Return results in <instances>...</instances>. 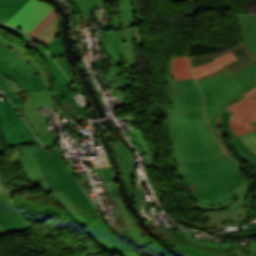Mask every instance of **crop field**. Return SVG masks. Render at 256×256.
Instances as JSON below:
<instances>
[{
  "instance_id": "crop-field-3",
  "label": "crop field",
  "mask_w": 256,
  "mask_h": 256,
  "mask_svg": "<svg viewBox=\"0 0 256 256\" xmlns=\"http://www.w3.org/2000/svg\"><path fill=\"white\" fill-rule=\"evenodd\" d=\"M198 84L204 94L206 118L215 138L235 161L244 167L226 146L218 120L231 104L244 97L246 92L256 85V60L231 74L224 70Z\"/></svg>"
},
{
  "instance_id": "crop-field-52",
  "label": "crop field",
  "mask_w": 256,
  "mask_h": 256,
  "mask_svg": "<svg viewBox=\"0 0 256 256\" xmlns=\"http://www.w3.org/2000/svg\"><path fill=\"white\" fill-rule=\"evenodd\" d=\"M254 126L256 127V122H253Z\"/></svg>"
},
{
  "instance_id": "crop-field-8",
  "label": "crop field",
  "mask_w": 256,
  "mask_h": 256,
  "mask_svg": "<svg viewBox=\"0 0 256 256\" xmlns=\"http://www.w3.org/2000/svg\"><path fill=\"white\" fill-rule=\"evenodd\" d=\"M111 191L114 197V203L117 207L118 213L122 220V223L128 233L129 242L132 243L135 247L140 245L150 243L161 255L163 256H172L170 255L163 247L152 241L144 234L141 229L138 227L136 222L130 216L125 204L124 200L119 192L117 182L110 185ZM131 244V245H132Z\"/></svg>"
},
{
  "instance_id": "crop-field-17",
  "label": "crop field",
  "mask_w": 256,
  "mask_h": 256,
  "mask_svg": "<svg viewBox=\"0 0 256 256\" xmlns=\"http://www.w3.org/2000/svg\"><path fill=\"white\" fill-rule=\"evenodd\" d=\"M0 208V227L7 233L30 229L24 216L20 212H13L2 199Z\"/></svg>"
},
{
  "instance_id": "crop-field-44",
  "label": "crop field",
  "mask_w": 256,
  "mask_h": 256,
  "mask_svg": "<svg viewBox=\"0 0 256 256\" xmlns=\"http://www.w3.org/2000/svg\"><path fill=\"white\" fill-rule=\"evenodd\" d=\"M111 19H112L111 25L113 26L115 31L123 28L120 16L111 17Z\"/></svg>"
},
{
  "instance_id": "crop-field-22",
  "label": "crop field",
  "mask_w": 256,
  "mask_h": 256,
  "mask_svg": "<svg viewBox=\"0 0 256 256\" xmlns=\"http://www.w3.org/2000/svg\"><path fill=\"white\" fill-rule=\"evenodd\" d=\"M45 48L52 55V57L55 59L58 65L65 72V74L68 76V78L70 79V81L72 82L76 90L78 91V93L81 94L82 92L78 85V82L68 70L67 61L65 59L62 47L60 45V36L52 40L48 45L45 46Z\"/></svg>"
},
{
  "instance_id": "crop-field-13",
  "label": "crop field",
  "mask_w": 256,
  "mask_h": 256,
  "mask_svg": "<svg viewBox=\"0 0 256 256\" xmlns=\"http://www.w3.org/2000/svg\"><path fill=\"white\" fill-rule=\"evenodd\" d=\"M231 51L235 57L238 59L234 62H231L225 66H223L224 68L218 70V71H215L211 74H208L204 77H201L199 79H197L196 81H199L201 79H204L206 77H209L211 75H214L224 69H226L229 73L232 72V71H235L237 69H240L248 64H250L253 60H255L256 58L250 53V51L247 49V47L244 45V43H239L237 44L236 46L232 47V48H229L227 50H224L218 54H211V55H201V56H190L191 58V63H192V68L193 67H196V66H199V65H202L204 63H207V62H210V61H213L212 59L221 55V54H224L226 52H229Z\"/></svg>"
},
{
  "instance_id": "crop-field-23",
  "label": "crop field",
  "mask_w": 256,
  "mask_h": 256,
  "mask_svg": "<svg viewBox=\"0 0 256 256\" xmlns=\"http://www.w3.org/2000/svg\"><path fill=\"white\" fill-rule=\"evenodd\" d=\"M0 42H2L3 44H5L9 48H11L13 51H15L23 60L27 61L30 65H32L38 71V73L43 78V80H44V82H45V84H46V86L48 88V91L50 93V96L52 98V101L54 103L53 91H52V88H51V84H50L49 78L46 75L45 70L40 65V63L36 59H34L28 52H26L25 50H23V49L15 46V45L7 42L2 37H0Z\"/></svg>"
},
{
  "instance_id": "crop-field-39",
  "label": "crop field",
  "mask_w": 256,
  "mask_h": 256,
  "mask_svg": "<svg viewBox=\"0 0 256 256\" xmlns=\"http://www.w3.org/2000/svg\"><path fill=\"white\" fill-rule=\"evenodd\" d=\"M242 143L256 155V132L239 137Z\"/></svg>"
},
{
  "instance_id": "crop-field-34",
  "label": "crop field",
  "mask_w": 256,
  "mask_h": 256,
  "mask_svg": "<svg viewBox=\"0 0 256 256\" xmlns=\"http://www.w3.org/2000/svg\"><path fill=\"white\" fill-rule=\"evenodd\" d=\"M56 17H57V14H56V10L54 9L27 36L34 39Z\"/></svg>"
},
{
  "instance_id": "crop-field-43",
  "label": "crop field",
  "mask_w": 256,
  "mask_h": 256,
  "mask_svg": "<svg viewBox=\"0 0 256 256\" xmlns=\"http://www.w3.org/2000/svg\"><path fill=\"white\" fill-rule=\"evenodd\" d=\"M61 104H62L67 116H71V115L77 116V115H79L78 112L76 111V109L73 107V105L72 104L70 105L68 101L62 102Z\"/></svg>"
},
{
  "instance_id": "crop-field-5",
  "label": "crop field",
  "mask_w": 256,
  "mask_h": 256,
  "mask_svg": "<svg viewBox=\"0 0 256 256\" xmlns=\"http://www.w3.org/2000/svg\"><path fill=\"white\" fill-rule=\"evenodd\" d=\"M250 186L251 183L244 174L241 181L234 188L230 189L236 194L233 198L217 204L194 203L192 206L204 211L205 213L202 216L209 218V221L205 225L196 221L192 223L180 217L175 220L206 232H212L211 229H221L227 225L240 226L248 217L246 200L249 195Z\"/></svg>"
},
{
  "instance_id": "crop-field-50",
  "label": "crop field",
  "mask_w": 256,
  "mask_h": 256,
  "mask_svg": "<svg viewBox=\"0 0 256 256\" xmlns=\"http://www.w3.org/2000/svg\"><path fill=\"white\" fill-rule=\"evenodd\" d=\"M5 234V232L0 228V236Z\"/></svg>"
},
{
  "instance_id": "crop-field-30",
  "label": "crop field",
  "mask_w": 256,
  "mask_h": 256,
  "mask_svg": "<svg viewBox=\"0 0 256 256\" xmlns=\"http://www.w3.org/2000/svg\"><path fill=\"white\" fill-rule=\"evenodd\" d=\"M28 0H0V20L6 23Z\"/></svg>"
},
{
  "instance_id": "crop-field-48",
  "label": "crop field",
  "mask_w": 256,
  "mask_h": 256,
  "mask_svg": "<svg viewBox=\"0 0 256 256\" xmlns=\"http://www.w3.org/2000/svg\"><path fill=\"white\" fill-rule=\"evenodd\" d=\"M90 5L101 6V0H88Z\"/></svg>"
},
{
  "instance_id": "crop-field-19",
  "label": "crop field",
  "mask_w": 256,
  "mask_h": 256,
  "mask_svg": "<svg viewBox=\"0 0 256 256\" xmlns=\"http://www.w3.org/2000/svg\"><path fill=\"white\" fill-rule=\"evenodd\" d=\"M241 39L256 57V14H237Z\"/></svg>"
},
{
  "instance_id": "crop-field-47",
  "label": "crop field",
  "mask_w": 256,
  "mask_h": 256,
  "mask_svg": "<svg viewBox=\"0 0 256 256\" xmlns=\"http://www.w3.org/2000/svg\"><path fill=\"white\" fill-rule=\"evenodd\" d=\"M0 28L5 30V31H7V32H9V33H11V34H13V35L19 31V30L15 29V28L10 27V26H8L6 24H3V23H0Z\"/></svg>"
},
{
  "instance_id": "crop-field-37",
  "label": "crop field",
  "mask_w": 256,
  "mask_h": 256,
  "mask_svg": "<svg viewBox=\"0 0 256 256\" xmlns=\"http://www.w3.org/2000/svg\"><path fill=\"white\" fill-rule=\"evenodd\" d=\"M0 86L7 97L12 101V103L17 107L18 111L22 110V103L19 95H12L9 87L7 86L3 77L0 76Z\"/></svg>"
},
{
  "instance_id": "crop-field-6",
  "label": "crop field",
  "mask_w": 256,
  "mask_h": 256,
  "mask_svg": "<svg viewBox=\"0 0 256 256\" xmlns=\"http://www.w3.org/2000/svg\"><path fill=\"white\" fill-rule=\"evenodd\" d=\"M133 202L136 205L139 214L148 223V225L185 256H236L238 241H231L227 243L213 242L211 245H208L197 240L198 242L195 244L186 238L193 233V231L189 230L188 232L181 234L170 228L166 229L162 225L155 227L142 207L150 204H147L140 188L135 192ZM250 252L251 256H256V239H250Z\"/></svg>"
},
{
  "instance_id": "crop-field-21",
  "label": "crop field",
  "mask_w": 256,
  "mask_h": 256,
  "mask_svg": "<svg viewBox=\"0 0 256 256\" xmlns=\"http://www.w3.org/2000/svg\"><path fill=\"white\" fill-rule=\"evenodd\" d=\"M253 115L254 114L243 111L239 108L233 112L229 123L233 133L236 136L256 131L252 124Z\"/></svg>"
},
{
  "instance_id": "crop-field-51",
  "label": "crop field",
  "mask_w": 256,
  "mask_h": 256,
  "mask_svg": "<svg viewBox=\"0 0 256 256\" xmlns=\"http://www.w3.org/2000/svg\"><path fill=\"white\" fill-rule=\"evenodd\" d=\"M110 1H112V0H102V2H110Z\"/></svg>"
},
{
  "instance_id": "crop-field-11",
  "label": "crop field",
  "mask_w": 256,
  "mask_h": 256,
  "mask_svg": "<svg viewBox=\"0 0 256 256\" xmlns=\"http://www.w3.org/2000/svg\"><path fill=\"white\" fill-rule=\"evenodd\" d=\"M114 35L124 64L126 65L128 72L131 74L132 80H135L136 78L131 67L138 66L135 48L143 45L141 29L140 27L136 29L127 27L119 32H114Z\"/></svg>"
},
{
  "instance_id": "crop-field-20",
  "label": "crop field",
  "mask_w": 256,
  "mask_h": 256,
  "mask_svg": "<svg viewBox=\"0 0 256 256\" xmlns=\"http://www.w3.org/2000/svg\"><path fill=\"white\" fill-rule=\"evenodd\" d=\"M107 26H108L109 31L104 32L106 37L99 38V41L103 45L106 53L109 55V57L111 59V62H112L111 68H110L106 77L120 74V73L117 72L118 69H116L115 66L123 64L121 56L118 52L116 40H115V37L113 35V30H112L109 23H107Z\"/></svg>"
},
{
  "instance_id": "crop-field-4",
  "label": "crop field",
  "mask_w": 256,
  "mask_h": 256,
  "mask_svg": "<svg viewBox=\"0 0 256 256\" xmlns=\"http://www.w3.org/2000/svg\"><path fill=\"white\" fill-rule=\"evenodd\" d=\"M36 155L53 192L62 189L86 222L90 223L101 218L74 174L64 171L60 150L54 151L42 148Z\"/></svg>"
},
{
  "instance_id": "crop-field-31",
  "label": "crop field",
  "mask_w": 256,
  "mask_h": 256,
  "mask_svg": "<svg viewBox=\"0 0 256 256\" xmlns=\"http://www.w3.org/2000/svg\"><path fill=\"white\" fill-rule=\"evenodd\" d=\"M254 97H256V86L248 91L243 99L230 106L227 111L233 112L239 107L243 110L255 113L253 121H256V100L253 99Z\"/></svg>"
},
{
  "instance_id": "crop-field-10",
  "label": "crop field",
  "mask_w": 256,
  "mask_h": 256,
  "mask_svg": "<svg viewBox=\"0 0 256 256\" xmlns=\"http://www.w3.org/2000/svg\"><path fill=\"white\" fill-rule=\"evenodd\" d=\"M85 234L111 256L116 253L120 256H139L116 239L104 226V222L102 220H98L87 225L85 228Z\"/></svg>"
},
{
  "instance_id": "crop-field-38",
  "label": "crop field",
  "mask_w": 256,
  "mask_h": 256,
  "mask_svg": "<svg viewBox=\"0 0 256 256\" xmlns=\"http://www.w3.org/2000/svg\"><path fill=\"white\" fill-rule=\"evenodd\" d=\"M18 113V112H17ZM18 118H19V123H20V127H21V132H22V137H23V142L25 143H31V142H36L39 143L35 137L33 136V134L30 132V130L28 129L27 125L25 124V122L22 120V118L19 116L18 114ZM40 144V143H39Z\"/></svg>"
},
{
  "instance_id": "crop-field-49",
  "label": "crop field",
  "mask_w": 256,
  "mask_h": 256,
  "mask_svg": "<svg viewBox=\"0 0 256 256\" xmlns=\"http://www.w3.org/2000/svg\"><path fill=\"white\" fill-rule=\"evenodd\" d=\"M134 1H135L136 9H137V12H138L139 20H140V22H142L137 0H134Z\"/></svg>"
},
{
  "instance_id": "crop-field-7",
  "label": "crop field",
  "mask_w": 256,
  "mask_h": 256,
  "mask_svg": "<svg viewBox=\"0 0 256 256\" xmlns=\"http://www.w3.org/2000/svg\"><path fill=\"white\" fill-rule=\"evenodd\" d=\"M25 155L12 157L11 164L18 163L21 167L24 175L32 184L33 187L40 186L45 194L51 192L43 173L40 169L38 160L35 153L39 151L42 147L40 146H28L22 147ZM52 193V192H51ZM58 204L65 210V212L74 220V222L79 226L88 224L84 221L79 212L71 204L62 190L52 193Z\"/></svg>"
},
{
  "instance_id": "crop-field-27",
  "label": "crop field",
  "mask_w": 256,
  "mask_h": 256,
  "mask_svg": "<svg viewBox=\"0 0 256 256\" xmlns=\"http://www.w3.org/2000/svg\"><path fill=\"white\" fill-rule=\"evenodd\" d=\"M125 135H132L133 138L129 139L134 146L137 145V147L140 148L143 155L146 157L147 164H145V167L148 168L151 165H153V160L151 156V151L149 146L146 143V140L139 128L125 132Z\"/></svg>"
},
{
  "instance_id": "crop-field-1",
  "label": "crop field",
  "mask_w": 256,
  "mask_h": 256,
  "mask_svg": "<svg viewBox=\"0 0 256 256\" xmlns=\"http://www.w3.org/2000/svg\"><path fill=\"white\" fill-rule=\"evenodd\" d=\"M168 98L172 106L175 140L180 161H199L224 153L208 129L203 96L193 78L172 81L171 61Z\"/></svg>"
},
{
  "instance_id": "crop-field-40",
  "label": "crop field",
  "mask_w": 256,
  "mask_h": 256,
  "mask_svg": "<svg viewBox=\"0 0 256 256\" xmlns=\"http://www.w3.org/2000/svg\"><path fill=\"white\" fill-rule=\"evenodd\" d=\"M226 238H245V237H252L256 236V224L246 227L241 230V235H226V234H214Z\"/></svg>"
},
{
  "instance_id": "crop-field-15",
  "label": "crop field",
  "mask_w": 256,
  "mask_h": 256,
  "mask_svg": "<svg viewBox=\"0 0 256 256\" xmlns=\"http://www.w3.org/2000/svg\"><path fill=\"white\" fill-rule=\"evenodd\" d=\"M0 74L14 79L25 92L46 89L39 76L26 79L10 62L0 56Z\"/></svg>"
},
{
  "instance_id": "crop-field-16",
  "label": "crop field",
  "mask_w": 256,
  "mask_h": 256,
  "mask_svg": "<svg viewBox=\"0 0 256 256\" xmlns=\"http://www.w3.org/2000/svg\"><path fill=\"white\" fill-rule=\"evenodd\" d=\"M112 149L118 161L120 175L123 179L126 189L128 193H131L132 186L130 182V172L134 166L135 156L121 141H118L115 145H113Z\"/></svg>"
},
{
  "instance_id": "crop-field-9",
  "label": "crop field",
  "mask_w": 256,
  "mask_h": 256,
  "mask_svg": "<svg viewBox=\"0 0 256 256\" xmlns=\"http://www.w3.org/2000/svg\"><path fill=\"white\" fill-rule=\"evenodd\" d=\"M54 8L40 0H29L8 22L26 35Z\"/></svg>"
},
{
  "instance_id": "crop-field-26",
  "label": "crop field",
  "mask_w": 256,
  "mask_h": 256,
  "mask_svg": "<svg viewBox=\"0 0 256 256\" xmlns=\"http://www.w3.org/2000/svg\"><path fill=\"white\" fill-rule=\"evenodd\" d=\"M24 96L27 100V103L23 104V111H21L22 117L25 119V121L29 124V126L32 128L34 134L36 137L45 134L43 131V128L34 112V108L29 101V98L24 93Z\"/></svg>"
},
{
  "instance_id": "crop-field-32",
  "label": "crop field",
  "mask_w": 256,
  "mask_h": 256,
  "mask_svg": "<svg viewBox=\"0 0 256 256\" xmlns=\"http://www.w3.org/2000/svg\"><path fill=\"white\" fill-rule=\"evenodd\" d=\"M57 35H59L58 17L50 25H48L34 40L44 47Z\"/></svg>"
},
{
  "instance_id": "crop-field-28",
  "label": "crop field",
  "mask_w": 256,
  "mask_h": 256,
  "mask_svg": "<svg viewBox=\"0 0 256 256\" xmlns=\"http://www.w3.org/2000/svg\"><path fill=\"white\" fill-rule=\"evenodd\" d=\"M38 54L44 59V61L46 62L55 85L58 84H64V83H68L69 80L65 77V75L62 73V71L58 68V66L54 63V61L52 60V58L49 56V54L47 53L46 50H44L42 47L38 46L36 48H34Z\"/></svg>"
},
{
  "instance_id": "crop-field-33",
  "label": "crop field",
  "mask_w": 256,
  "mask_h": 256,
  "mask_svg": "<svg viewBox=\"0 0 256 256\" xmlns=\"http://www.w3.org/2000/svg\"><path fill=\"white\" fill-rule=\"evenodd\" d=\"M119 8L121 12V18L123 26H132L135 24L132 7L129 0H119Z\"/></svg>"
},
{
  "instance_id": "crop-field-25",
  "label": "crop field",
  "mask_w": 256,
  "mask_h": 256,
  "mask_svg": "<svg viewBox=\"0 0 256 256\" xmlns=\"http://www.w3.org/2000/svg\"><path fill=\"white\" fill-rule=\"evenodd\" d=\"M0 54L10 61L26 78L38 75L32 67L23 62L15 53L1 44Z\"/></svg>"
},
{
  "instance_id": "crop-field-36",
  "label": "crop field",
  "mask_w": 256,
  "mask_h": 256,
  "mask_svg": "<svg viewBox=\"0 0 256 256\" xmlns=\"http://www.w3.org/2000/svg\"><path fill=\"white\" fill-rule=\"evenodd\" d=\"M170 111H167V126L169 128L171 144H172V148H173V152H174V158H175V160L178 164V175H179V178H183V175H182V172H181V166H180V163H179L177 148H176L175 141H174V132H173V126H172V119H171Z\"/></svg>"
},
{
  "instance_id": "crop-field-2",
  "label": "crop field",
  "mask_w": 256,
  "mask_h": 256,
  "mask_svg": "<svg viewBox=\"0 0 256 256\" xmlns=\"http://www.w3.org/2000/svg\"><path fill=\"white\" fill-rule=\"evenodd\" d=\"M181 165L190 196L203 203H217L234 196L228 189L244 173L226 153L206 161L181 162Z\"/></svg>"
},
{
  "instance_id": "crop-field-53",
  "label": "crop field",
  "mask_w": 256,
  "mask_h": 256,
  "mask_svg": "<svg viewBox=\"0 0 256 256\" xmlns=\"http://www.w3.org/2000/svg\"><path fill=\"white\" fill-rule=\"evenodd\" d=\"M256 99V98H255Z\"/></svg>"
},
{
  "instance_id": "crop-field-45",
  "label": "crop field",
  "mask_w": 256,
  "mask_h": 256,
  "mask_svg": "<svg viewBox=\"0 0 256 256\" xmlns=\"http://www.w3.org/2000/svg\"><path fill=\"white\" fill-rule=\"evenodd\" d=\"M5 79H6V81H7V83H8V85H9V87H10V89H11L13 94L23 93L15 82H13V81H11V80H9L7 78H5Z\"/></svg>"
},
{
  "instance_id": "crop-field-18",
  "label": "crop field",
  "mask_w": 256,
  "mask_h": 256,
  "mask_svg": "<svg viewBox=\"0 0 256 256\" xmlns=\"http://www.w3.org/2000/svg\"><path fill=\"white\" fill-rule=\"evenodd\" d=\"M232 113L224 112L219 120V125L223 132H225L236 152V154L256 172V157L249 152V150L241 143L240 139L236 137L229 128L228 120Z\"/></svg>"
},
{
  "instance_id": "crop-field-41",
  "label": "crop field",
  "mask_w": 256,
  "mask_h": 256,
  "mask_svg": "<svg viewBox=\"0 0 256 256\" xmlns=\"http://www.w3.org/2000/svg\"><path fill=\"white\" fill-rule=\"evenodd\" d=\"M67 4H69L71 1L78 7L80 13H87L91 12V8L87 2V0H65ZM70 7V6H69ZM72 12L74 11V8L70 7ZM74 13V12H73Z\"/></svg>"
},
{
  "instance_id": "crop-field-14",
  "label": "crop field",
  "mask_w": 256,
  "mask_h": 256,
  "mask_svg": "<svg viewBox=\"0 0 256 256\" xmlns=\"http://www.w3.org/2000/svg\"><path fill=\"white\" fill-rule=\"evenodd\" d=\"M26 94L30 98V100L35 108V111L37 113V116H38L39 120L41 121L44 131L46 133V135L40 136V137H38V139L41 141L42 144L46 145L47 147H52L53 142L58 140L57 131L48 133V123H47V121H44V118H47V117L38 113V111H37V109L42 106L54 111L50 96H49L47 90L30 92V93H26Z\"/></svg>"
},
{
  "instance_id": "crop-field-29",
  "label": "crop field",
  "mask_w": 256,
  "mask_h": 256,
  "mask_svg": "<svg viewBox=\"0 0 256 256\" xmlns=\"http://www.w3.org/2000/svg\"><path fill=\"white\" fill-rule=\"evenodd\" d=\"M172 77H173V80L193 77L190 71L188 56L173 58Z\"/></svg>"
},
{
  "instance_id": "crop-field-35",
  "label": "crop field",
  "mask_w": 256,
  "mask_h": 256,
  "mask_svg": "<svg viewBox=\"0 0 256 256\" xmlns=\"http://www.w3.org/2000/svg\"><path fill=\"white\" fill-rule=\"evenodd\" d=\"M55 90H56L57 102L69 100L70 103H74L73 101H75V100H74L73 96L71 95L66 84L55 86ZM62 111H63V109H62ZM63 115L66 116L64 111H63Z\"/></svg>"
},
{
  "instance_id": "crop-field-42",
  "label": "crop field",
  "mask_w": 256,
  "mask_h": 256,
  "mask_svg": "<svg viewBox=\"0 0 256 256\" xmlns=\"http://www.w3.org/2000/svg\"><path fill=\"white\" fill-rule=\"evenodd\" d=\"M0 198H2L13 211H18L12 198L7 193L0 178Z\"/></svg>"
},
{
  "instance_id": "crop-field-12",
  "label": "crop field",
  "mask_w": 256,
  "mask_h": 256,
  "mask_svg": "<svg viewBox=\"0 0 256 256\" xmlns=\"http://www.w3.org/2000/svg\"><path fill=\"white\" fill-rule=\"evenodd\" d=\"M1 93L0 98L5 97ZM5 99L0 101V132L8 147L23 145L16 110L6 97Z\"/></svg>"
},
{
  "instance_id": "crop-field-46",
  "label": "crop field",
  "mask_w": 256,
  "mask_h": 256,
  "mask_svg": "<svg viewBox=\"0 0 256 256\" xmlns=\"http://www.w3.org/2000/svg\"><path fill=\"white\" fill-rule=\"evenodd\" d=\"M237 256H250L249 246H240L239 243Z\"/></svg>"
},
{
  "instance_id": "crop-field-24",
  "label": "crop field",
  "mask_w": 256,
  "mask_h": 256,
  "mask_svg": "<svg viewBox=\"0 0 256 256\" xmlns=\"http://www.w3.org/2000/svg\"><path fill=\"white\" fill-rule=\"evenodd\" d=\"M214 60L215 61H213V62L193 68L192 72H193L195 79L222 68L221 66H223L231 61L236 60V58L233 56V54L231 52H229V53L224 54Z\"/></svg>"
}]
</instances>
